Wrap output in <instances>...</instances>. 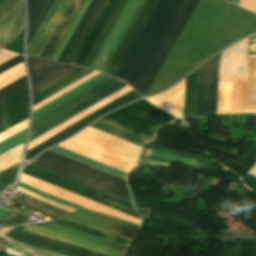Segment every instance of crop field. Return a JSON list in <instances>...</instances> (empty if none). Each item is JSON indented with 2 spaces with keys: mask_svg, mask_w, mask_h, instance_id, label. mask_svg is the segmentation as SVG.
<instances>
[{
  "mask_svg": "<svg viewBox=\"0 0 256 256\" xmlns=\"http://www.w3.org/2000/svg\"><path fill=\"white\" fill-rule=\"evenodd\" d=\"M49 150L90 165L112 175L118 176L125 180L127 179L128 174L125 172L119 171L58 146H55ZM49 150L36 158L33 162H31V164L131 203L125 180L84 165L62 155L56 154Z\"/></svg>",
  "mask_w": 256,
  "mask_h": 256,
  "instance_id": "1",
  "label": "crop field"
},
{
  "mask_svg": "<svg viewBox=\"0 0 256 256\" xmlns=\"http://www.w3.org/2000/svg\"><path fill=\"white\" fill-rule=\"evenodd\" d=\"M183 0H160L116 78L133 88Z\"/></svg>",
  "mask_w": 256,
  "mask_h": 256,
  "instance_id": "2",
  "label": "crop field"
},
{
  "mask_svg": "<svg viewBox=\"0 0 256 256\" xmlns=\"http://www.w3.org/2000/svg\"><path fill=\"white\" fill-rule=\"evenodd\" d=\"M24 230L37 233L58 241H62L83 249H87L105 256H123L124 253L88 241L71 237L36 225L27 226ZM22 230L13 240L39 247L64 256H102L87 250H83L62 242H58L37 234Z\"/></svg>",
  "mask_w": 256,
  "mask_h": 256,
  "instance_id": "3",
  "label": "crop field"
},
{
  "mask_svg": "<svg viewBox=\"0 0 256 256\" xmlns=\"http://www.w3.org/2000/svg\"><path fill=\"white\" fill-rule=\"evenodd\" d=\"M126 84L108 78L33 122L31 140L93 105ZM30 140V141H31Z\"/></svg>",
  "mask_w": 256,
  "mask_h": 256,
  "instance_id": "4",
  "label": "crop field"
},
{
  "mask_svg": "<svg viewBox=\"0 0 256 256\" xmlns=\"http://www.w3.org/2000/svg\"><path fill=\"white\" fill-rule=\"evenodd\" d=\"M101 119L154 140L156 130L175 118L143 99Z\"/></svg>",
  "mask_w": 256,
  "mask_h": 256,
  "instance_id": "5",
  "label": "crop field"
},
{
  "mask_svg": "<svg viewBox=\"0 0 256 256\" xmlns=\"http://www.w3.org/2000/svg\"><path fill=\"white\" fill-rule=\"evenodd\" d=\"M198 1L199 0H184L182 6L180 7L178 13L176 14L174 20L172 21L170 27L168 28L166 34L161 40L159 46L157 47L155 53L153 54L134 88L140 94L145 95L147 89L156 76Z\"/></svg>",
  "mask_w": 256,
  "mask_h": 256,
  "instance_id": "6",
  "label": "crop field"
},
{
  "mask_svg": "<svg viewBox=\"0 0 256 256\" xmlns=\"http://www.w3.org/2000/svg\"><path fill=\"white\" fill-rule=\"evenodd\" d=\"M22 172L139 218L132 204L125 202L123 200L117 199L115 197L97 191L95 189L89 188L72 180L66 179L64 177H61L44 169L38 168L31 164L26 165Z\"/></svg>",
  "mask_w": 256,
  "mask_h": 256,
  "instance_id": "7",
  "label": "crop field"
},
{
  "mask_svg": "<svg viewBox=\"0 0 256 256\" xmlns=\"http://www.w3.org/2000/svg\"><path fill=\"white\" fill-rule=\"evenodd\" d=\"M158 1L144 0L142 2L102 72L115 77Z\"/></svg>",
  "mask_w": 256,
  "mask_h": 256,
  "instance_id": "8",
  "label": "crop field"
},
{
  "mask_svg": "<svg viewBox=\"0 0 256 256\" xmlns=\"http://www.w3.org/2000/svg\"><path fill=\"white\" fill-rule=\"evenodd\" d=\"M220 54L199 68L195 117L216 114Z\"/></svg>",
  "mask_w": 256,
  "mask_h": 256,
  "instance_id": "9",
  "label": "crop field"
},
{
  "mask_svg": "<svg viewBox=\"0 0 256 256\" xmlns=\"http://www.w3.org/2000/svg\"><path fill=\"white\" fill-rule=\"evenodd\" d=\"M62 219L132 240L138 225L79 208Z\"/></svg>",
  "mask_w": 256,
  "mask_h": 256,
  "instance_id": "10",
  "label": "crop field"
},
{
  "mask_svg": "<svg viewBox=\"0 0 256 256\" xmlns=\"http://www.w3.org/2000/svg\"><path fill=\"white\" fill-rule=\"evenodd\" d=\"M33 95L67 77L80 67L27 58Z\"/></svg>",
  "mask_w": 256,
  "mask_h": 256,
  "instance_id": "11",
  "label": "crop field"
},
{
  "mask_svg": "<svg viewBox=\"0 0 256 256\" xmlns=\"http://www.w3.org/2000/svg\"><path fill=\"white\" fill-rule=\"evenodd\" d=\"M20 181L27 185H30L36 189H39L48 194H51L53 196L68 200V201L76 203V204H79L82 207H85V208H88V209H91L94 211H98V212H101V213H104V214H107V215H110V216H113V217H116V218H119L122 220H126L129 222L138 224V225L140 223V220L137 218H134V217L124 214L122 212L116 211L114 209H111L109 207H106L104 205L96 203V202L86 199L84 197L78 196L76 194H73L71 192L63 190L61 188H58V187L48 184L46 182L40 181L38 179H35V178L25 175L23 173L21 175Z\"/></svg>",
  "mask_w": 256,
  "mask_h": 256,
  "instance_id": "12",
  "label": "crop field"
},
{
  "mask_svg": "<svg viewBox=\"0 0 256 256\" xmlns=\"http://www.w3.org/2000/svg\"><path fill=\"white\" fill-rule=\"evenodd\" d=\"M140 0H127L118 18L116 19L113 27L111 28L108 36L102 44L99 52L93 60L90 68L102 71L105 63L111 55L114 47L125 31L127 25L132 19L134 13L139 6Z\"/></svg>",
  "mask_w": 256,
  "mask_h": 256,
  "instance_id": "13",
  "label": "crop field"
},
{
  "mask_svg": "<svg viewBox=\"0 0 256 256\" xmlns=\"http://www.w3.org/2000/svg\"><path fill=\"white\" fill-rule=\"evenodd\" d=\"M248 37L221 52L219 81H245Z\"/></svg>",
  "mask_w": 256,
  "mask_h": 256,
  "instance_id": "14",
  "label": "crop field"
},
{
  "mask_svg": "<svg viewBox=\"0 0 256 256\" xmlns=\"http://www.w3.org/2000/svg\"><path fill=\"white\" fill-rule=\"evenodd\" d=\"M23 27V0H5L0 5V47L5 48Z\"/></svg>",
  "mask_w": 256,
  "mask_h": 256,
  "instance_id": "15",
  "label": "crop field"
},
{
  "mask_svg": "<svg viewBox=\"0 0 256 256\" xmlns=\"http://www.w3.org/2000/svg\"><path fill=\"white\" fill-rule=\"evenodd\" d=\"M105 0H92L57 61L70 64Z\"/></svg>",
  "mask_w": 256,
  "mask_h": 256,
  "instance_id": "16",
  "label": "crop field"
},
{
  "mask_svg": "<svg viewBox=\"0 0 256 256\" xmlns=\"http://www.w3.org/2000/svg\"><path fill=\"white\" fill-rule=\"evenodd\" d=\"M70 0H55L27 47V56H37Z\"/></svg>",
  "mask_w": 256,
  "mask_h": 256,
  "instance_id": "17",
  "label": "crop field"
},
{
  "mask_svg": "<svg viewBox=\"0 0 256 256\" xmlns=\"http://www.w3.org/2000/svg\"><path fill=\"white\" fill-rule=\"evenodd\" d=\"M139 97H141V96L139 94H137L134 90L129 92L128 94H126V95L122 96L121 98L117 99L116 101L110 103L109 105L105 106L104 108L98 110L97 112L93 113L92 115L86 117L85 119L81 120L80 122L74 124L73 126L69 127L68 129L62 131L61 133L57 134L56 136L45 141L44 143L38 145L37 147L33 148L32 150L26 152L25 159H31L35 155H37L41 150H43L44 148L69 137L71 134H73L74 132L79 130L81 127H83L90 121L100 117L107 111H109L115 107H118L126 102L137 99Z\"/></svg>",
  "mask_w": 256,
  "mask_h": 256,
  "instance_id": "18",
  "label": "crop field"
},
{
  "mask_svg": "<svg viewBox=\"0 0 256 256\" xmlns=\"http://www.w3.org/2000/svg\"><path fill=\"white\" fill-rule=\"evenodd\" d=\"M28 118L27 89L0 103V132Z\"/></svg>",
  "mask_w": 256,
  "mask_h": 256,
  "instance_id": "19",
  "label": "crop field"
},
{
  "mask_svg": "<svg viewBox=\"0 0 256 256\" xmlns=\"http://www.w3.org/2000/svg\"><path fill=\"white\" fill-rule=\"evenodd\" d=\"M185 79L168 91L157 96L146 98L153 104L183 118Z\"/></svg>",
  "mask_w": 256,
  "mask_h": 256,
  "instance_id": "20",
  "label": "crop field"
},
{
  "mask_svg": "<svg viewBox=\"0 0 256 256\" xmlns=\"http://www.w3.org/2000/svg\"><path fill=\"white\" fill-rule=\"evenodd\" d=\"M131 90H133V89L130 88L128 85L123 87L122 89L111 94L110 96L106 97L105 99L101 100L100 102L96 103L95 105L89 107L88 109L84 110L83 112L79 113L78 115L74 116L73 118L69 119L68 121L62 123L61 125L57 126L56 128L52 129L51 131L47 132L46 134H44V135L40 136L39 138L35 139L34 141L30 142L28 144L27 150L33 148L34 146L38 145L39 143L52 137L53 135L57 134L58 132L71 126L72 124L83 119L84 117H86L89 114L95 112L96 110L102 108L103 106L107 105L108 103L114 101L115 99L121 97L122 95L126 94L127 92H129Z\"/></svg>",
  "mask_w": 256,
  "mask_h": 256,
  "instance_id": "21",
  "label": "crop field"
},
{
  "mask_svg": "<svg viewBox=\"0 0 256 256\" xmlns=\"http://www.w3.org/2000/svg\"><path fill=\"white\" fill-rule=\"evenodd\" d=\"M116 2H117V0H106L100 13L98 14L92 27L90 28L87 36L85 37L83 43L81 44L79 50L77 51L75 57L73 58V60L71 62L72 65L80 66L81 62L83 61L85 55L87 54L88 50L90 49L92 43L94 42L95 38L97 37L99 31L101 30L102 26L104 25L106 19L108 18L109 14L111 13Z\"/></svg>",
  "mask_w": 256,
  "mask_h": 256,
  "instance_id": "22",
  "label": "crop field"
},
{
  "mask_svg": "<svg viewBox=\"0 0 256 256\" xmlns=\"http://www.w3.org/2000/svg\"><path fill=\"white\" fill-rule=\"evenodd\" d=\"M108 77L109 76H107L103 73L95 76L94 78L90 79L89 81L83 83L82 85L76 87L75 89L64 94L63 96L59 97L58 99L52 101L51 103L45 105L44 107L40 108L39 110L33 112L32 121L39 118L40 116L44 115L45 113L51 111L52 109L58 107L59 105L65 103L66 101L70 100L71 98L77 96L78 94L84 92L85 90L91 88L92 86L96 85L97 83L103 81L104 79H106Z\"/></svg>",
  "mask_w": 256,
  "mask_h": 256,
  "instance_id": "23",
  "label": "crop field"
},
{
  "mask_svg": "<svg viewBox=\"0 0 256 256\" xmlns=\"http://www.w3.org/2000/svg\"><path fill=\"white\" fill-rule=\"evenodd\" d=\"M90 127L98 129L105 133H108L110 135L116 136V137L126 140L128 142L134 143L141 147L153 142L150 139L142 137L138 134H135L133 132H130L128 130L120 128L118 126H115V125L108 123L106 121H103L101 119H99L96 122H94L93 124H91Z\"/></svg>",
  "mask_w": 256,
  "mask_h": 256,
  "instance_id": "24",
  "label": "crop field"
},
{
  "mask_svg": "<svg viewBox=\"0 0 256 256\" xmlns=\"http://www.w3.org/2000/svg\"><path fill=\"white\" fill-rule=\"evenodd\" d=\"M53 0H27L28 3V43L45 16Z\"/></svg>",
  "mask_w": 256,
  "mask_h": 256,
  "instance_id": "25",
  "label": "crop field"
},
{
  "mask_svg": "<svg viewBox=\"0 0 256 256\" xmlns=\"http://www.w3.org/2000/svg\"><path fill=\"white\" fill-rule=\"evenodd\" d=\"M244 112H256V56H248Z\"/></svg>",
  "mask_w": 256,
  "mask_h": 256,
  "instance_id": "26",
  "label": "crop field"
},
{
  "mask_svg": "<svg viewBox=\"0 0 256 256\" xmlns=\"http://www.w3.org/2000/svg\"><path fill=\"white\" fill-rule=\"evenodd\" d=\"M125 0H118L116 6L114 7L112 13L110 14L109 18L107 19L105 25L103 26L102 30L100 31L98 37L96 38L95 42L93 43L91 49L89 50L88 54L86 55L84 61L82 62L81 66L89 68L92 60L94 59L96 53L98 52L101 44L103 43L106 35L108 34L110 28L112 27L115 19L117 18L119 12L121 11ZM126 4V3H125Z\"/></svg>",
  "mask_w": 256,
  "mask_h": 256,
  "instance_id": "27",
  "label": "crop field"
},
{
  "mask_svg": "<svg viewBox=\"0 0 256 256\" xmlns=\"http://www.w3.org/2000/svg\"><path fill=\"white\" fill-rule=\"evenodd\" d=\"M80 1L81 0H72L71 1L70 5L68 6L66 12L64 13L62 19L60 20L58 26L56 27L51 38L49 39L47 45L45 46L44 50L42 51V53L40 55L41 58L47 59L48 55L50 54L55 43L57 42L58 38L60 37L61 33L63 32V30L66 27L67 23L69 22L70 18L72 17V15H73L74 11L76 10L77 6L79 5Z\"/></svg>",
  "mask_w": 256,
  "mask_h": 256,
  "instance_id": "28",
  "label": "crop field"
},
{
  "mask_svg": "<svg viewBox=\"0 0 256 256\" xmlns=\"http://www.w3.org/2000/svg\"><path fill=\"white\" fill-rule=\"evenodd\" d=\"M37 225L43 226V227H46V228H49V229H52V230H55V231H59V232H62V233H65V234H68V235H71V236H75V237H78V238H81V239H84V240H88V241H91V242H94V243H97V244H100V245H104V246H107V247H110V248H113V249H116V250H120V251H123V252L127 248L126 246L119 245V244H116V243H113V242H110V241H107V240H103V239H100V238H97V237H94V236H91V235H87V234H84V233H81V232H78V231H75V230H71V229H68V228H65V227H62V226H59V225H55V224H52V223H49V222H46V223H43V224H37Z\"/></svg>",
  "mask_w": 256,
  "mask_h": 256,
  "instance_id": "29",
  "label": "crop field"
},
{
  "mask_svg": "<svg viewBox=\"0 0 256 256\" xmlns=\"http://www.w3.org/2000/svg\"><path fill=\"white\" fill-rule=\"evenodd\" d=\"M90 72H92V70L82 68V69L78 70L77 72L73 73L72 75L68 76L67 78L56 83L55 85L51 86L50 88L46 89L45 91L33 96V105L39 103L40 101L51 96L52 94L63 89L64 87L70 85L71 83L82 78L83 76L87 75Z\"/></svg>",
  "mask_w": 256,
  "mask_h": 256,
  "instance_id": "30",
  "label": "crop field"
},
{
  "mask_svg": "<svg viewBox=\"0 0 256 256\" xmlns=\"http://www.w3.org/2000/svg\"><path fill=\"white\" fill-rule=\"evenodd\" d=\"M49 222L56 223V224H59V225H62V226L68 227V228H72V229H75V230H78V231H81L84 233H88V234H91V235H94V236H97L100 238H104V239H107V240H110V241H113L116 243H120V244H123L126 246H128V244L130 243V240L123 239V238H120V237H117V236H114L111 234H107V233H104V232H101L98 230H94V229H91V228H88L85 226H81V225L69 222V221H65L62 219H57V220H53V221H49Z\"/></svg>",
  "mask_w": 256,
  "mask_h": 256,
  "instance_id": "31",
  "label": "crop field"
},
{
  "mask_svg": "<svg viewBox=\"0 0 256 256\" xmlns=\"http://www.w3.org/2000/svg\"><path fill=\"white\" fill-rule=\"evenodd\" d=\"M14 199L18 200V201H21L27 205H30L36 209H39L41 211H44L48 214H51V215H55V216H58V217H61L69 212L67 211H64V210H60V209H57L55 207H52V206H49L47 204H44L26 194H24V196L22 198L18 197V196H14Z\"/></svg>",
  "mask_w": 256,
  "mask_h": 256,
  "instance_id": "32",
  "label": "crop field"
},
{
  "mask_svg": "<svg viewBox=\"0 0 256 256\" xmlns=\"http://www.w3.org/2000/svg\"><path fill=\"white\" fill-rule=\"evenodd\" d=\"M24 142L0 155V172L20 160Z\"/></svg>",
  "mask_w": 256,
  "mask_h": 256,
  "instance_id": "33",
  "label": "crop field"
},
{
  "mask_svg": "<svg viewBox=\"0 0 256 256\" xmlns=\"http://www.w3.org/2000/svg\"><path fill=\"white\" fill-rule=\"evenodd\" d=\"M25 76L23 62L0 74V88L12 83L13 81Z\"/></svg>",
  "mask_w": 256,
  "mask_h": 256,
  "instance_id": "34",
  "label": "crop field"
},
{
  "mask_svg": "<svg viewBox=\"0 0 256 256\" xmlns=\"http://www.w3.org/2000/svg\"><path fill=\"white\" fill-rule=\"evenodd\" d=\"M6 245H8L12 248H15L19 251H22L26 254H29L31 256H61V255L51 253V252H48V251H45V250H42L39 248H35V247L29 246V245H26L23 243H19V242L13 241V240L6 243Z\"/></svg>",
  "mask_w": 256,
  "mask_h": 256,
  "instance_id": "35",
  "label": "crop field"
},
{
  "mask_svg": "<svg viewBox=\"0 0 256 256\" xmlns=\"http://www.w3.org/2000/svg\"><path fill=\"white\" fill-rule=\"evenodd\" d=\"M100 72L94 71L87 76L83 77L82 79L76 81L75 83L71 84L70 86L64 88L63 90L57 92L56 94L52 95L51 97L45 99L44 101L40 102L39 104L33 106V111L39 109L40 107L44 106L45 104L51 102L52 100L58 98L59 96L63 95L64 93L70 91L71 89L75 88L76 86L82 84L83 82L89 80L90 78L94 77L95 75L99 74Z\"/></svg>",
  "mask_w": 256,
  "mask_h": 256,
  "instance_id": "36",
  "label": "crop field"
},
{
  "mask_svg": "<svg viewBox=\"0 0 256 256\" xmlns=\"http://www.w3.org/2000/svg\"><path fill=\"white\" fill-rule=\"evenodd\" d=\"M27 88L26 78L23 77L12 84L0 89V102ZM20 93V92H19Z\"/></svg>",
  "mask_w": 256,
  "mask_h": 256,
  "instance_id": "37",
  "label": "crop field"
},
{
  "mask_svg": "<svg viewBox=\"0 0 256 256\" xmlns=\"http://www.w3.org/2000/svg\"><path fill=\"white\" fill-rule=\"evenodd\" d=\"M27 129L19 132L18 134L8 138L7 140L0 143V154L4 151L14 147L15 145L25 141Z\"/></svg>",
  "mask_w": 256,
  "mask_h": 256,
  "instance_id": "38",
  "label": "crop field"
},
{
  "mask_svg": "<svg viewBox=\"0 0 256 256\" xmlns=\"http://www.w3.org/2000/svg\"><path fill=\"white\" fill-rule=\"evenodd\" d=\"M87 0H82L80 5L78 6L76 12L74 13L73 17L71 18L70 22L68 23L67 27L65 28L64 32L62 33L61 37L59 38L57 44L55 45L54 49L52 50L51 54L49 55L48 59L52 60L53 56L55 55L56 51L58 50L60 44L62 43L63 39L65 38L66 34L68 33L69 29L71 28L72 24L74 23L75 19L77 18L79 12L81 11L82 7L84 6Z\"/></svg>",
  "mask_w": 256,
  "mask_h": 256,
  "instance_id": "39",
  "label": "crop field"
},
{
  "mask_svg": "<svg viewBox=\"0 0 256 256\" xmlns=\"http://www.w3.org/2000/svg\"><path fill=\"white\" fill-rule=\"evenodd\" d=\"M147 153H148V156L150 157L174 160V161L183 162L191 165H194L195 163L194 160H190V159H186V158H182V157H178V156H174V155H170V154H166V153H162V152H158L150 149H148Z\"/></svg>",
  "mask_w": 256,
  "mask_h": 256,
  "instance_id": "40",
  "label": "crop field"
},
{
  "mask_svg": "<svg viewBox=\"0 0 256 256\" xmlns=\"http://www.w3.org/2000/svg\"><path fill=\"white\" fill-rule=\"evenodd\" d=\"M19 186H21V187H23V188H25V189H28V190H30V191L36 193V194H39V195H41V196H43V197H45V198H47V199L53 200V201H55V202L61 203V204H63V205L69 206V207H71V208L76 209L77 207H79V205H76V204L67 202V201H65V200H62V199L53 197V196L48 195V194H46V193H44V192H41V191H39V190H36V189H34V188L30 187V186H27V185H25V184H23V183H19Z\"/></svg>",
  "mask_w": 256,
  "mask_h": 256,
  "instance_id": "41",
  "label": "crop field"
},
{
  "mask_svg": "<svg viewBox=\"0 0 256 256\" xmlns=\"http://www.w3.org/2000/svg\"><path fill=\"white\" fill-rule=\"evenodd\" d=\"M18 165L19 164L0 173V189H2L9 181L12 180Z\"/></svg>",
  "mask_w": 256,
  "mask_h": 256,
  "instance_id": "42",
  "label": "crop field"
},
{
  "mask_svg": "<svg viewBox=\"0 0 256 256\" xmlns=\"http://www.w3.org/2000/svg\"><path fill=\"white\" fill-rule=\"evenodd\" d=\"M21 61H23V58H22V56L19 55V56L15 57V58L9 60L8 62H6V63L0 65V73H1L2 71L6 70V69H8V68H10V67H12L13 65H15V64H17V63H19V62H21Z\"/></svg>",
  "mask_w": 256,
  "mask_h": 256,
  "instance_id": "43",
  "label": "crop field"
},
{
  "mask_svg": "<svg viewBox=\"0 0 256 256\" xmlns=\"http://www.w3.org/2000/svg\"><path fill=\"white\" fill-rule=\"evenodd\" d=\"M239 5L256 13V0H240Z\"/></svg>",
  "mask_w": 256,
  "mask_h": 256,
  "instance_id": "44",
  "label": "crop field"
},
{
  "mask_svg": "<svg viewBox=\"0 0 256 256\" xmlns=\"http://www.w3.org/2000/svg\"><path fill=\"white\" fill-rule=\"evenodd\" d=\"M18 54H15V53H11V52H8V51H5L3 49L0 50V64L8 61L9 59L17 56Z\"/></svg>",
  "mask_w": 256,
  "mask_h": 256,
  "instance_id": "45",
  "label": "crop field"
},
{
  "mask_svg": "<svg viewBox=\"0 0 256 256\" xmlns=\"http://www.w3.org/2000/svg\"><path fill=\"white\" fill-rule=\"evenodd\" d=\"M24 227H26V226L16 227V228L12 229L7 235L13 238V237H14L17 233H19Z\"/></svg>",
  "mask_w": 256,
  "mask_h": 256,
  "instance_id": "46",
  "label": "crop field"
},
{
  "mask_svg": "<svg viewBox=\"0 0 256 256\" xmlns=\"http://www.w3.org/2000/svg\"><path fill=\"white\" fill-rule=\"evenodd\" d=\"M15 215V213L13 212H7L5 215H3L1 218H0V222L2 220H9L11 217H13Z\"/></svg>",
  "mask_w": 256,
  "mask_h": 256,
  "instance_id": "47",
  "label": "crop field"
},
{
  "mask_svg": "<svg viewBox=\"0 0 256 256\" xmlns=\"http://www.w3.org/2000/svg\"><path fill=\"white\" fill-rule=\"evenodd\" d=\"M4 208H6V209H8V210H11V211H13V212H15V213H18V214H20V215H23V216H25V217L28 216V215H26V214H24V213H22V212H20V211H18V210H16V209L10 207V206H8V205H6Z\"/></svg>",
  "mask_w": 256,
  "mask_h": 256,
  "instance_id": "48",
  "label": "crop field"
},
{
  "mask_svg": "<svg viewBox=\"0 0 256 256\" xmlns=\"http://www.w3.org/2000/svg\"><path fill=\"white\" fill-rule=\"evenodd\" d=\"M248 173H249V174L256 175V163H255V165L250 169V171H249Z\"/></svg>",
  "mask_w": 256,
  "mask_h": 256,
  "instance_id": "49",
  "label": "crop field"
},
{
  "mask_svg": "<svg viewBox=\"0 0 256 256\" xmlns=\"http://www.w3.org/2000/svg\"><path fill=\"white\" fill-rule=\"evenodd\" d=\"M5 212H7V210H4V209L0 208V216H2Z\"/></svg>",
  "mask_w": 256,
  "mask_h": 256,
  "instance_id": "50",
  "label": "crop field"
},
{
  "mask_svg": "<svg viewBox=\"0 0 256 256\" xmlns=\"http://www.w3.org/2000/svg\"><path fill=\"white\" fill-rule=\"evenodd\" d=\"M228 1H230V2H231L232 0H228Z\"/></svg>",
  "mask_w": 256,
  "mask_h": 256,
  "instance_id": "51",
  "label": "crop field"
},
{
  "mask_svg": "<svg viewBox=\"0 0 256 256\" xmlns=\"http://www.w3.org/2000/svg\"><path fill=\"white\" fill-rule=\"evenodd\" d=\"M2 0H0V2H1Z\"/></svg>",
  "mask_w": 256,
  "mask_h": 256,
  "instance_id": "52",
  "label": "crop field"
}]
</instances>
